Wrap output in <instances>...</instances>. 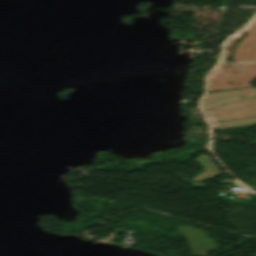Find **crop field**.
<instances>
[{"instance_id": "obj_2", "label": "crop field", "mask_w": 256, "mask_h": 256, "mask_svg": "<svg viewBox=\"0 0 256 256\" xmlns=\"http://www.w3.org/2000/svg\"><path fill=\"white\" fill-rule=\"evenodd\" d=\"M216 121L237 120L256 116V98L239 103L226 104L222 108L209 110Z\"/></svg>"}, {"instance_id": "obj_3", "label": "crop field", "mask_w": 256, "mask_h": 256, "mask_svg": "<svg viewBox=\"0 0 256 256\" xmlns=\"http://www.w3.org/2000/svg\"><path fill=\"white\" fill-rule=\"evenodd\" d=\"M194 160L205 172L193 178L192 180L200 182L204 180H210L215 176L221 175L219 170L213 165V163L208 159L206 155L198 156V158H195Z\"/></svg>"}, {"instance_id": "obj_1", "label": "crop field", "mask_w": 256, "mask_h": 256, "mask_svg": "<svg viewBox=\"0 0 256 256\" xmlns=\"http://www.w3.org/2000/svg\"><path fill=\"white\" fill-rule=\"evenodd\" d=\"M256 97V89L222 92V93H207L203 108L209 117L214 129L231 128L256 124V118L237 120L225 123H215L207 109L222 107L225 103L243 101L246 98Z\"/></svg>"}]
</instances>
